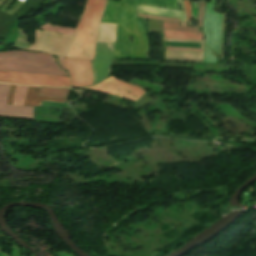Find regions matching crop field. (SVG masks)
<instances>
[{
    "label": "crop field",
    "instance_id": "8a807250",
    "mask_svg": "<svg viewBox=\"0 0 256 256\" xmlns=\"http://www.w3.org/2000/svg\"><path fill=\"white\" fill-rule=\"evenodd\" d=\"M138 4L179 9L177 0H107L101 23H117L112 59H148V37L135 18ZM130 36L134 43H129Z\"/></svg>",
    "mask_w": 256,
    "mask_h": 256
},
{
    "label": "crop field",
    "instance_id": "ac0d7876",
    "mask_svg": "<svg viewBox=\"0 0 256 256\" xmlns=\"http://www.w3.org/2000/svg\"><path fill=\"white\" fill-rule=\"evenodd\" d=\"M106 0H86L67 57L93 60L99 24ZM92 34V37L90 34Z\"/></svg>",
    "mask_w": 256,
    "mask_h": 256
},
{
    "label": "crop field",
    "instance_id": "34b2d1b8",
    "mask_svg": "<svg viewBox=\"0 0 256 256\" xmlns=\"http://www.w3.org/2000/svg\"><path fill=\"white\" fill-rule=\"evenodd\" d=\"M54 61L56 60L51 56L40 53L25 51L3 52L0 53V70L68 76Z\"/></svg>",
    "mask_w": 256,
    "mask_h": 256
},
{
    "label": "crop field",
    "instance_id": "412701ff",
    "mask_svg": "<svg viewBox=\"0 0 256 256\" xmlns=\"http://www.w3.org/2000/svg\"><path fill=\"white\" fill-rule=\"evenodd\" d=\"M0 81L24 85H45L52 87H69V77L46 74L16 73L0 71Z\"/></svg>",
    "mask_w": 256,
    "mask_h": 256
},
{
    "label": "crop field",
    "instance_id": "f4fd0767",
    "mask_svg": "<svg viewBox=\"0 0 256 256\" xmlns=\"http://www.w3.org/2000/svg\"><path fill=\"white\" fill-rule=\"evenodd\" d=\"M89 89L123 97L134 102H136L146 92L138 86L124 83L112 76Z\"/></svg>",
    "mask_w": 256,
    "mask_h": 256
},
{
    "label": "crop field",
    "instance_id": "dd49c442",
    "mask_svg": "<svg viewBox=\"0 0 256 256\" xmlns=\"http://www.w3.org/2000/svg\"><path fill=\"white\" fill-rule=\"evenodd\" d=\"M213 4L214 0L206 3L203 31L206 35L205 45L219 53L223 15L213 11Z\"/></svg>",
    "mask_w": 256,
    "mask_h": 256
},
{
    "label": "crop field",
    "instance_id": "e52e79f7",
    "mask_svg": "<svg viewBox=\"0 0 256 256\" xmlns=\"http://www.w3.org/2000/svg\"><path fill=\"white\" fill-rule=\"evenodd\" d=\"M114 43L97 42L93 66L94 84L103 80L112 67L111 57Z\"/></svg>",
    "mask_w": 256,
    "mask_h": 256
},
{
    "label": "crop field",
    "instance_id": "d8731c3e",
    "mask_svg": "<svg viewBox=\"0 0 256 256\" xmlns=\"http://www.w3.org/2000/svg\"><path fill=\"white\" fill-rule=\"evenodd\" d=\"M71 75L72 87H83L92 84V68L90 61L65 59Z\"/></svg>",
    "mask_w": 256,
    "mask_h": 256
},
{
    "label": "crop field",
    "instance_id": "5a996713",
    "mask_svg": "<svg viewBox=\"0 0 256 256\" xmlns=\"http://www.w3.org/2000/svg\"><path fill=\"white\" fill-rule=\"evenodd\" d=\"M10 85L0 83V116L33 120V107L6 105Z\"/></svg>",
    "mask_w": 256,
    "mask_h": 256
},
{
    "label": "crop field",
    "instance_id": "3316defc",
    "mask_svg": "<svg viewBox=\"0 0 256 256\" xmlns=\"http://www.w3.org/2000/svg\"><path fill=\"white\" fill-rule=\"evenodd\" d=\"M39 89L40 88H34V87H29L28 88V92H27V95L25 97L24 106H41V100L60 101V102H65L66 101V100H62V99L37 97Z\"/></svg>",
    "mask_w": 256,
    "mask_h": 256
},
{
    "label": "crop field",
    "instance_id": "28ad6ade",
    "mask_svg": "<svg viewBox=\"0 0 256 256\" xmlns=\"http://www.w3.org/2000/svg\"><path fill=\"white\" fill-rule=\"evenodd\" d=\"M164 38L202 40V34L190 32L164 31Z\"/></svg>",
    "mask_w": 256,
    "mask_h": 256
},
{
    "label": "crop field",
    "instance_id": "d1516ede",
    "mask_svg": "<svg viewBox=\"0 0 256 256\" xmlns=\"http://www.w3.org/2000/svg\"><path fill=\"white\" fill-rule=\"evenodd\" d=\"M69 89L41 88L38 96L67 98Z\"/></svg>",
    "mask_w": 256,
    "mask_h": 256
},
{
    "label": "crop field",
    "instance_id": "22f410ed",
    "mask_svg": "<svg viewBox=\"0 0 256 256\" xmlns=\"http://www.w3.org/2000/svg\"><path fill=\"white\" fill-rule=\"evenodd\" d=\"M40 29L51 31V32H56V33L70 34V35H73V32L75 30L72 28L58 27V26H52V25H48V24H45Z\"/></svg>",
    "mask_w": 256,
    "mask_h": 256
},
{
    "label": "crop field",
    "instance_id": "cbeb9de0",
    "mask_svg": "<svg viewBox=\"0 0 256 256\" xmlns=\"http://www.w3.org/2000/svg\"><path fill=\"white\" fill-rule=\"evenodd\" d=\"M28 87L18 86L15 92L13 105L23 106L24 97L26 95Z\"/></svg>",
    "mask_w": 256,
    "mask_h": 256
},
{
    "label": "crop field",
    "instance_id": "5142ce71",
    "mask_svg": "<svg viewBox=\"0 0 256 256\" xmlns=\"http://www.w3.org/2000/svg\"><path fill=\"white\" fill-rule=\"evenodd\" d=\"M164 29L199 32L196 28L179 26V23L164 21Z\"/></svg>",
    "mask_w": 256,
    "mask_h": 256
},
{
    "label": "crop field",
    "instance_id": "d9b57169",
    "mask_svg": "<svg viewBox=\"0 0 256 256\" xmlns=\"http://www.w3.org/2000/svg\"><path fill=\"white\" fill-rule=\"evenodd\" d=\"M203 62L217 63V57L212 55V50L204 46Z\"/></svg>",
    "mask_w": 256,
    "mask_h": 256
},
{
    "label": "crop field",
    "instance_id": "733c2abd",
    "mask_svg": "<svg viewBox=\"0 0 256 256\" xmlns=\"http://www.w3.org/2000/svg\"><path fill=\"white\" fill-rule=\"evenodd\" d=\"M204 7L205 3L204 0L199 2V12H198V18H197V27H202L203 23V15H204Z\"/></svg>",
    "mask_w": 256,
    "mask_h": 256
},
{
    "label": "crop field",
    "instance_id": "4a817a6b",
    "mask_svg": "<svg viewBox=\"0 0 256 256\" xmlns=\"http://www.w3.org/2000/svg\"><path fill=\"white\" fill-rule=\"evenodd\" d=\"M17 86L11 85L10 92L8 94L7 104L12 105L14 92Z\"/></svg>",
    "mask_w": 256,
    "mask_h": 256
},
{
    "label": "crop field",
    "instance_id": "bc2a9ffb",
    "mask_svg": "<svg viewBox=\"0 0 256 256\" xmlns=\"http://www.w3.org/2000/svg\"><path fill=\"white\" fill-rule=\"evenodd\" d=\"M137 15L138 16H142V17H147V18L167 20V21H174V22H179V20H180V19H175V18L154 17V16H147V15H140V14H137Z\"/></svg>",
    "mask_w": 256,
    "mask_h": 256
},
{
    "label": "crop field",
    "instance_id": "214f88e0",
    "mask_svg": "<svg viewBox=\"0 0 256 256\" xmlns=\"http://www.w3.org/2000/svg\"><path fill=\"white\" fill-rule=\"evenodd\" d=\"M184 5H185L187 20L190 22V2L187 0H184Z\"/></svg>",
    "mask_w": 256,
    "mask_h": 256
},
{
    "label": "crop field",
    "instance_id": "92a150f3",
    "mask_svg": "<svg viewBox=\"0 0 256 256\" xmlns=\"http://www.w3.org/2000/svg\"><path fill=\"white\" fill-rule=\"evenodd\" d=\"M197 6H198V3L192 2V14H191V17H193L194 19H196V15H197Z\"/></svg>",
    "mask_w": 256,
    "mask_h": 256
},
{
    "label": "crop field",
    "instance_id": "dafd665d",
    "mask_svg": "<svg viewBox=\"0 0 256 256\" xmlns=\"http://www.w3.org/2000/svg\"><path fill=\"white\" fill-rule=\"evenodd\" d=\"M164 60L201 62V60H192V59H174V58H165Z\"/></svg>",
    "mask_w": 256,
    "mask_h": 256
},
{
    "label": "crop field",
    "instance_id": "00972430",
    "mask_svg": "<svg viewBox=\"0 0 256 256\" xmlns=\"http://www.w3.org/2000/svg\"><path fill=\"white\" fill-rule=\"evenodd\" d=\"M165 49H181V50H195V51H201V49H192V48H174V47H165Z\"/></svg>",
    "mask_w": 256,
    "mask_h": 256
},
{
    "label": "crop field",
    "instance_id": "a9b5d70f",
    "mask_svg": "<svg viewBox=\"0 0 256 256\" xmlns=\"http://www.w3.org/2000/svg\"><path fill=\"white\" fill-rule=\"evenodd\" d=\"M57 58L60 60L62 68L65 70L66 68L64 65V58H60V57H57Z\"/></svg>",
    "mask_w": 256,
    "mask_h": 256
}]
</instances>
